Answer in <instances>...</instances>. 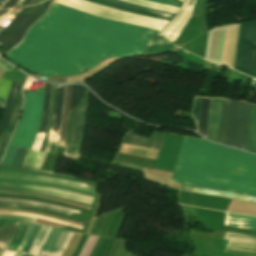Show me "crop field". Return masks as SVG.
Masks as SVG:
<instances>
[{"label":"crop field","mask_w":256,"mask_h":256,"mask_svg":"<svg viewBox=\"0 0 256 256\" xmlns=\"http://www.w3.org/2000/svg\"><path fill=\"white\" fill-rule=\"evenodd\" d=\"M83 86L72 85L71 106L70 112L77 105L82 97ZM89 90L84 86V95L79 101L76 108L69 114L67 139H66V154L69 158L76 157L80 154L82 141L77 139L78 127L84 124L85 113L87 112ZM86 122V121H85ZM85 133V124L79 127L78 138L83 139Z\"/></svg>","instance_id":"dd49c442"},{"label":"crop field","mask_w":256,"mask_h":256,"mask_svg":"<svg viewBox=\"0 0 256 256\" xmlns=\"http://www.w3.org/2000/svg\"><path fill=\"white\" fill-rule=\"evenodd\" d=\"M17 205L34 206V207L48 209V210H52V211H56V212H60L68 215L72 214L73 212L79 214L78 211L70 210V209L63 208L56 205L38 203V202H32V201H26V200L0 198V206L16 207Z\"/></svg>","instance_id":"cbeb9de0"},{"label":"crop field","mask_w":256,"mask_h":256,"mask_svg":"<svg viewBox=\"0 0 256 256\" xmlns=\"http://www.w3.org/2000/svg\"><path fill=\"white\" fill-rule=\"evenodd\" d=\"M225 225L256 230V218L226 213Z\"/></svg>","instance_id":"733c2abd"},{"label":"crop field","mask_w":256,"mask_h":256,"mask_svg":"<svg viewBox=\"0 0 256 256\" xmlns=\"http://www.w3.org/2000/svg\"><path fill=\"white\" fill-rule=\"evenodd\" d=\"M41 1H44V0H41ZM41 1H40V2H41Z\"/></svg>","instance_id":"1d79db26"},{"label":"crop field","mask_w":256,"mask_h":256,"mask_svg":"<svg viewBox=\"0 0 256 256\" xmlns=\"http://www.w3.org/2000/svg\"><path fill=\"white\" fill-rule=\"evenodd\" d=\"M46 84H39V92L27 91L22 118L8 146L30 148L40 124Z\"/></svg>","instance_id":"f4fd0767"},{"label":"crop field","mask_w":256,"mask_h":256,"mask_svg":"<svg viewBox=\"0 0 256 256\" xmlns=\"http://www.w3.org/2000/svg\"><path fill=\"white\" fill-rule=\"evenodd\" d=\"M92 238H93V236L89 235V237H88V239H87V241H86V243H85L83 249L81 250L79 256H84V254H85V252H86V250H87V248H88V246H89V244H90Z\"/></svg>","instance_id":"c035e120"},{"label":"crop field","mask_w":256,"mask_h":256,"mask_svg":"<svg viewBox=\"0 0 256 256\" xmlns=\"http://www.w3.org/2000/svg\"><path fill=\"white\" fill-rule=\"evenodd\" d=\"M194 3L195 0H185L177 15L164 26L159 35L175 43L192 15Z\"/></svg>","instance_id":"3316defc"},{"label":"crop field","mask_w":256,"mask_h":256,"mask_svg":"<svg viewBox=\"0 0 256 256\" xmlns=\"http://www.w3.org/2000/svg\"><path fill=\"white\" fill-rule=\"evenodd\" d=\"M8 10H9V9H8ZM8 10H2V11H0V15L7 13Z\"/></svg>","instance_id":"73cf0c24"},{"label":"crop field","mask_w":256,"mask_h":256,"mask_svg":"<svg viewBox=\"0 0 256 256\" xmlns=\"http://www.w3.org/2000/svg\"><path fill=\"white\" fill-rule=\"evenodd\" d=\"M120 210L121 209H119L118 211H117V214H116V216H115V219H114V222H113V224H112V227H111V229H110V231H109V233H108V237L110 236V233H111V231H112V228H113V226H114V224H115V221H116V219H117V217H118V215H119V213H120Z\"/></svg>","instance_id":"5d738f31"},{"label":"crop field","mask_w":256,"mask_h":256,"mask_svg":"<svg viewBox=\"0 0 256 256\" xmlns=\"http://www.w3.org/2000/svg\"><path fill=\"white\" fill-rule=\"evenodd\" d=\"M19 85H20V83H18L17 90H16V94H15V98H14V101H13V103H12L11 107H10V111H9L8 119H7L6 123L4 124V126L2 127V129H1V131H0V134H1V133H2V131L5 129V127H6L7 123H8V121H9V118H10V115H11L12 108H13L14 103H15V101H16V97H17V93H18Z\"/></svg>","instance_id":"b80d0937"},{"label":"crop field","mask_w":256,"mask_h":256,"mask_svg":"<svg viewBox=\"0 0 256 256\" xmlns=\"http://www.w3.org/2000/svg\"><path fill=\"white\" fill-rule=\"evenodd\" d=\"M150 1L159 2V3H163V4H167V5H171V6H177V7H181L180 4H183L182 1H178V0H167V1L176 2V3H180V4L171 3V2L162 1V0H150Z\"/></svg>","instance_id":"0bd39190"},{"label":"crop field","mask_w":256,"mask_h":256,"mask_svg":"<svg viewBox=\"0 0 256 256\" xmlns=\"http://www.w3.org/2000/svg\"><path fill=\"white\" fill-rule=\"evenodd\" d=\"M163 133L152 132L151 138L129 132L124 142L151 148H159Z\"/></svg>","instance_id":"5142ce71"},{"label":"crop field","mask_w":256,"mask_h":256,"mask_svg":"<svg viewBox=\"0 0 256 256\" xmlns=\"http://www.w3.org/2000/svg\"><path fill=\"white\" fill-rule=\"evenodd\" d=\"M51 227L50 226H44L42 225L33 244L34 245H39L42 246L46 236L48 235L49 231H50Z\"/></svg>","instance_id":"120bbe31"},{"label":"crop field","mask_w":256,"mask_h":256,"mask_svg":"<svg viewBox=\"0 0 256 256\" xmlns=\"http://www.w3.org/2000/svg\"><path fill=\"white\" fill-rule=\"evenodd\" d=\"M155 32L53 3L27 38L5 56L41 76L74 75L108 57L142 55Z\"/></svg>","instance_id":"8a807250"},{"label":"crop field","mask_w":256,"mask_h":256,"mask_svg":"<svg viewBox=\"0 0 256 256\" xmlns=\"http://www.w3.org/2000/svg\"><path fill=\"white\" fill-rule=\"evenodd\" d=\"M211 99L202 98L198 132L206 136Z\"/></svg>","instance_id":"00972430"},{"label":"crop field","mask_w":256,"mask_h":256,"mask_svg":"<svg viewBox=\"0 0 256 256\" xmlns=\"http://www.w3.org/2000/svg\"><path fill=\"white\" fill-rule=\"evenodd\" d=\"M55 3L69 6L95 16L118 20L153 29L161 30L163 26L168 23V21L135 15L124 11L89 3L84 0H58ZM158 33L159 31H157L149 41L144 55L163 53L177 46L169 40L157 35Z\"/></svg>","instance_id":"34b2d1b8"},{"label":"crop field","mask_w":256,"mask_h":256,"mask_svg":"<svg viewBox=\"0 0 256 256\" xmlns=\"http://www.w3.org/2000/svg\"><path fill=\"white\" fill-rule=\"evenodd\" d=\"M5 102H6V100H4V99H0V106H5Z\"/></svg>","instance_id":"425ffa30"},{"label":"crop field","mask_w":256,"mask_h":256,"mask_svg":"<svg viewBox=\"0 0 256 256\" xmlns=\"http://www.w3.org/2000/svg\"><path fill=\"white\" fill-rule=\"evenodd\" d=\"M39 249H40L39 246L32 245L28 253L36 256V254L39 251Z\"/></svg>","instance_id":"c21b1889"},{"label":"crop field","mask_w":256,"mask_h":256,"mask_svg":"<svg viewBox=\"0 0 256 256\" xmlns=\"http://www.w3.org/2000/svg\"><path fill=\"white\" fill-rule=\"evenodd\" d=\"M0 174L19 175V176H27V177H35V178L52 179V180H56V181H60V182H64V183H69V184H74V185H79V186H87V187H91V188H95L96 189L95 186L86 185V184H82V183H77V182H73V181L55 179V178H48V177H42V176L28 175V174H22V173H12V172H0Z\"/></svg>","instance_id":"1d83c4d3"},{"label":"crop field","mask_w":256,"mask_h":256,"mask_svg":"<svg viewBox=\"0 0 256 256\" xmlns=\"http://www.w3.org/2000/svg\"><path fill=\"white\" fill-rule=\"evenodd\" d=\"M65 89H66V85L65 86L56 85L54 113H53L52 123L61 124Z\"/></svg>","instance_id":"bc2a9ffb"},{"label":"crop field","mask_w":256,"mask_h":256,"mask_svg":"<svg viewBox=\"0 0 256 256\" xmlns=\"http://www.w3.org/2000/svg\"><path fill=\"white\" fill-rule=\"evenodd\" d=\"M97 238H98L97 236L94 237V239H93V241H92V243H91V245H90V247H89V249H88V251H87L85 256H89L90 255V253H91V251H92V249H93V247L95 245V242H96Z\"/></svg>","instance_id":"b54c1fbb"},{"label":"crop field","mask_w":256,"mask_h":256,"mask_svg":"<svg viewBox=\"0 0 256 256\" xmlns=\"http://www.w3.org/2000/svg\"><path fill=\"white\" fill-rule=\"evenodd\" d=\"M3 107H0V109H2Z\"/></svg>","instance_id":"0fb4a251"},{"label":"crop field","mask_w":256,"mask_h":256,"mask_svg":"<svg viewBox=\"0 0 256 256\" xmlns=\"http://www.w3.org/2000/svg\"><path fill=\"white\" fill-rule=\"evenodd\" d=\"M28 225H29V222L19 223V225H18V227H17V229H16V231H15V233H14V235H13V237H12L8 247H7L8 250L17 251V249L20 245V241H21Z\"/></svg>","instance_id":"730fd06b"},{"label":"crop field","mask_w":256,"mask_h":256,"mask_svg":"<svg viewBox=\"0 0 256 256\" xmlns=\"http://www.w3.org/2000/svg\"><path fill=\"white\" fill-rule=\"evenodd\" d=\"M73 232L52 227L38 256H61Z\"/></svg>","instance_id":"28ad6ade"},{"label":"crop field","mask_w":256,"mask_h":256,"mask_svg":"<svg viewBox=\"0 0 256 256\" xmlns=\"http://www.w3.org/2000/svg\"><path fill=\"white\" fill-rule=\"evenodd\" d=\"M180 190L256 203L255 197L225 193L220 191H214V190H208V189H202V188H196V187H190V186H184V185L181 186Z\"/></svg>","instance_id":"d9b57169"},{"label":"crop field","mask_w":256,"mask_h":256,"mask_svg":"<svg viewBox=\"0 0 256 256\" xmlns=\"http://www.w3.org/2000/svg\"><path fill=\"white\" fill-rule=\"evenodd\" d=\"M40 225L39 224H33L31 223L22 242L21 245L18 249V251H24V252H28L30 245L39 229Z\"/></svg>","instance_id":"eef30255"},{"label":"crop field","mask_w":256,"mask_h":256,"mask_svg":"<svg viewBox=\"0 0 256 256\" xmlns=\"http://www.w3.org/2000/svg\"><path fill=\"white\" fill-rule=\"evenodd\" d=\"M5 250L0 249V256H2V254L4 253Z\"/></svg>","instance_id":"89e229c0"},{"label":"crop field","mask_w":256,"mask_h":256,"mask_svg":"<svg viewBox=\"0 0 256 256\" xmlns=\"http://www.w3.org/2000/svg\"><path fill=\"white\" fill-rule=\"evenodd\" d=\"M18 223L3 227L0 231V247L6 249Z\"/></svg>","instance_id":"d3111659"},{"label":"crop field","mask_w":256,"mask_h":256,"mask_svg":"<svg viewBox=\"0 0 256 256\" xmlns=\"http://www.w3.org/2000/svg\"><path fill=\"white\" fill-rule=\"evenodd\" d=\"M246 150L256 153V106L254 105L251 108Z\"/></svg>","instance_id":"92a150f3"},{"label":"crop field","mask_w":256,"mask_h":256,"mask_svg":"<svg viewBox=\"0 0 256 256\" xmlns=\"http://www.w3.org/2000/svg\"><path fill=\"white\" fill-rule=\"evenodd\" d=\"M28 256V255H27Z\"/></svg>","instance_id":"447ae74e"},{"label":"crop field","mask_w":256,"mask_h":256,"mask_svg":"<svg viewBox=\"0 0 256 256\" xmlns=\"http://www.w3.org/2000/svg\"><path fill=\"white\" fill-rule=\"evenodd\" d=\"M224 252L242 256H256V245L228 241Z\"/></svg>","instance_id":"4a817a6b"},{"label":"crop field","mask_w":256,"mask_h":256,"mask_svg":"<svg viewBox=\"0 0 256 256\" xmlns=\"http://www.w3.org/2000/svg\"><path fill=\"white\" fill-rule=\"evenodd\" d=\"M20 256H25V254L21 253V255H20Z\"/></svg>","instance_id":"dbb93151"},{"label":"crop field","mask_w":256,"mask_h":256,"mask_svg":"<svg viewBox=\"0 0 256 256\" xmlns=\"http://www.w3.org/2000/svg\"><path fill=\"white\" fill-rule=\"evenodd\" d=\"M17 1L18 0H8V2L1 9L13 7L17 3Z\"/></svg>","instance_id":"03da06ac"},{"label":"crop field","mask_w":256,"mask_h":256,"mask_svg":"<svg viewBox=\"0 0 256 256\" xmlns=\"http://www.w3.org/2000/svg\"><path fill=\"white\" fill-rule=\"evenodd\" d=\"M223 99H212L207 138L216 141L221 117Z\"/></svg>","instance_id":"22f410ed"},{"label":"crop field","mask_w":256,"mask_h":256,"mask_svg":"<svg viewBox=\"0 0 256 256\" xmlns=\"http://www.w3.org/2000/svg\"><path fill=\"white\" fill-rule=\"evenodd\" d=\"M70 94H71V85H67L65 104H64V114H63L62 127H61V133H60V142H59V145L63 147H65L66 127H67V119H68V112H69V106H70Z\"/></svg>","instance_id":"a9b5d70f"},{"label":"crop field","mask_w":256,"mask_h":256,"mask_svg":"<svg viewBox=\"0 0 256 256\" xmlns=\"http://www.w3.org/2000/svg\"><path fill=\"white\" fill-rule=\"evenodd\" d=\"M86 1L124 10V11L135 13V14L156 17V18H160L168 21L174 17V14L129 4L120 0H86Z\"/></svg>","instance_id":"d1516ede"},{"label":"crop field","mask_w":256,"mask_h":256,"mask_svg":"<svg viewBox=\"0 0 256 256\" xmlns=\"http://www.w3.org/2000/svg\"><path fill=\"white\" fill-rule=\"evenodd\" d=\"M170 182L256 196V156L184 136Z\"/></svg>","instance_id":"ac0d7876"},{"label":"crop field","mask_w":256,"mask_h":256,"mask_svg":"<svg viewBox=\"0 0 256 256\" xmlns=\"http://www.w3.org/2000/svg\"><path fill=\"white\" fill-rule=\"evenodd\" d=\"M5 167V166H4ZM14 168H16V167H14ZM25 169V168H24Z\"/></svg>","instance_id":"9d1cf04e"},{"label":"crop field","mask_w":256,"mask_h":256,"mask_svg":"<svg viewBox=\"0 0 256 256\" xmlns=\"http://www.w3.org/2000/svg\"><path fill=\"white\" fill-rule=\"evenodd\" d=\"M0 218H7V219H16V220H29L34 221L35 218H29L25 216H9V215H0Z\"/></svg>","instance_id":"e1f06a70"},{"label":"crop field","mask_w":256,"mask_h":256,"mask_svg":"<svg viewBox=\"0 0 256 256\" xmlns=\"http://www.w3.org/2000/svg\"><path fill=\"white\" fill-rule=\"evenodd\" d=\"M224 239H231V240H237L242 242H248V243H254L256 244V237L254 236H248V235H242V234H236V233H230L227 232Z\"/></svg>","instance_id":"bd1437ed"},{"label":"crop field","mask_w":256,"mask_h":256,"mask_svg":"<svg viewBox=\"0 0 256 256\" xmlns=\"http://www.w3.org/2000/svg\"><path fill=\"white\" fill-rule=\"evenodd\" d=\"M16 86H17V83H16V82H13L12 85H11L9 97H8V99H7V102H6V106H5L3 115H2V117H1V119H0V129H1V127L3 126V124H4L5 120H6V116H7L9 107H10L12 101H13V98H14Z\"/></svg>","instance_id":"750c4746"},{"label":"crop field","mask_w":256,"mask_h":256,"mask_svg":"<svg viewBox=\"0 0 256 256\" xmlns=\"http://www.w3.org/2000/svg\"><path fill=\"white\" fill-rule=\"evenodd\" d=\"M19 255H20V253H16V254H15V256H19Z\"/></svg>","instance_id":"1f2cbd36"},{"label":"crop field","mask_w":256,"mask_h":256,"mask_svg":"<svg viewBox=\"0 0 256 256\" xmlns=\"http://www.w3.org/2000/svg\"><path fill=\"white\" fill-rule=\"evenodd\" d=\"M27 149L18 148L11 166L21 167Z\"/></svg>","instance_id":"d32e631a"},{"label":"crop field","mask_w":256,"mask_h":256,"mask_svg":"<svg viewBox=\"0 0 256 256\" xmlns=\"http://www.w3.org/2000/svg\"><path fill=\"white\" fill-rule=\"evenodd\" d=\"M251 105L225 100L218 142L245 150Z\"/></svg>","instance_id":"412701ff"},{"label":"crop field","mask_w":256,"mask_h":256,"mask_svg":"<svg viewBox=\"0 0 256 256\" xmlns=\"http://www.w3.org/2000/svg\"><path fill=\"white\" fill-rule=\"evenodd\" d=\"M16 149L17 148H7L6 149V153H5V156L1 162L2 165H8L10 166L11 165V162L13 160V157H14V154L16 152Z\"/></svg>","instance_id":"5866460e"},{"label":"crop field","mask_w":256,"mask_h":256,"mask_svg":"<svg viewBox=\"0 0 256 256\" xmlns=\"http://www.w3.org/2000/svg\"><path fill=\"white\" fill-rule=\"evenodd\" d=\"M40 0H31L27 5L35 4L38 3ZM26 5V6H27Z\"/></svg>","instance_id":"d23c7cc5"},{"label":"crop field","mask_w":256,"mask_h":256,"mask_svg":"<svg viewBox=\"0 0 256 256\" xmlns=\"http://www.w3.org/2000/svg\"><path fill=\"white\" fill-rule=\"evenodd\" d=\"M45 154V152L28 149L22 167L39 169Z\"/></svg>","instance_id":"dafd665d"},{"label":"crop field","mask_w":256,"mask_h":256,"mask_svg":"<svg viewBox=\"0 0 256 256\" xmlns=\"http://www.w3.org/2000/svg\"><path fill=\"white\" fill-rule=\"evenodd\" d=\"M22 101H23V96L21 94L20 100H17L16 103H15V106L13 108L9 124L0 136V141H4V142L9 141V139H10L12 133H13L15 123H16L18 117H19V114H20Z\"/></svg>","instance_id":"214f88e0"},{"label":"crop field","mask_w":256,"mask_h":256,"mask_svg":"<svg viewBox=\"0 0 256 256\" xmlns=\"http://www.w3.org/2000/svg\"><path fill=\"white\" fill-rule=\"evenodd\" d=\"M0 189H9V190H18V191L45 194V195L85 202L89 204H92V201H93L92 196H88V195H84V194H80V193H76V192H72L64 189L52 188V187H46V186H40V185L0 181Z\"/></svg>","instance_id":"5a996713"},{"label":"crop field","mask_w":256,"mask_h":256,"mask_svg":"<svg viewBox=\"0 0 256 256\" xmlns=\"http://www.w3.org/2000/svg\"><path fill=\"white\" fill-rule=\"evenodd\" d=\"M200 101L201 98H196L194 102V108H193V117L196 121V125L198 124V116H199V109H200Z\"/></svg>","instance_id":"028f5c9d"},{"label":"crop field","mask_w":256,"mask_h":256,"mask_svg":"<svg viewBox=\"0 0 256 256\" xmlns=\"http://www.w3.org/2000/svg\"><path fill=\"white\" fill-rule=\"evenodd\" d=\"M51 1L24 8L0 34L1 49L6 52L22 41L26 30L46 12Z\"/></svg>","instance_id":"e52e79f7"},{"label":"crop field","mask_w":256,"mask_h":256,"mask_svg":"<svg viewBox=\"0 0 256 256\" xmlns=\"http://www.w3.org/2000/svg\"><path fill=\"white\" fill-rule=\"evenodd\" d=\"M123 1L141 5V6H145V7H149V8L163 10V11H167V12H171V13H175V14H176L177 10L179 9L177 7H171V6H167V5H163V4H159V3L146 1V0H123Z\"/></svg>","instance_id":"ae1a2a85"},{"label":"crop field","mask_w":256,"mask_h":256,"mask_svg":"<svg viewBox=\"0 0 256 256\" xmlns=\"http://www.w3.org/2000/svg\"><path fill=\"white\" fill-rule=\"evenodd\" d=\"M28 2H29V0H25V1L21 4L20 7L25 6Z\"/></svg>","instance_id":"25e5ab78"},{"label":"crop field","mask_w":256,"mask_h":256,"mask_svg":"<svg viewBox=\"0 0 256 256\" xmlns=\"http://www.w3.org/2000/svg\"><path fill=\"white\" fill-rule=\"evenodd\" d=\"M52 86L53 85L47 84L44 107H43V113H42V119H41V124H40V128H39V131L44 132V133L46 132L47 124H48Z\"/></svg>","instance_id":"4177f3b9"},{"label":"crop field","mask_w":256,"mask_h":256,"mask_svg":"<svg viewBox=\"0 0 256 256\" xmlns=\"http://www.w3.org/2000/svg\"><path fill=\"white\" fill-rule=\"evenodd\" d=\"M235 69L256 78V22L241 26Z\"/></svg>","instance_id":"d8731c3e"}]
</instances>
